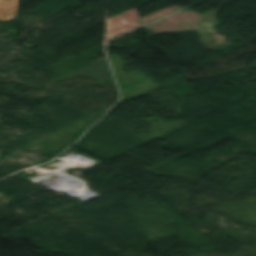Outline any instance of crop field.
<instances>
[{
  "label": "crop field",
  "instance_id": "1",
  "mask_svg": "<svg viewBox=\"0 0 256 256\" xmlns=\"http://www.w3.org/2000/svg\"><path fill=\"white\" fill-rule=\"evenodd\" d=\"M18 0H0V20L10 21L16 17Z\"/></svg>",
  "mask_w": 256,
  "mask_h": 256
}]
</instances>
